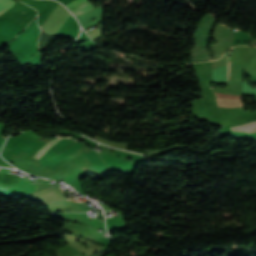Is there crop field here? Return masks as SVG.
Here are the masks:
<instances>
[{
    "mask_svg": "<svg viewBox=\"0 0 256 256\" xmlns=\"http://www.w3.org/2000/svg\"><path fill=\"white\" fill-rule=\"evenodd\" d=\"M218 105L223 107L244 106L242 94L221 95L217 94Z\"/></svg>",
    "mask_w": 256,
    "mask_h": 256,
    "instance_id": "crop-field-1",
    "label": "crop field"
},
{
    "mask_svg": "<svg viewBox=\"0 0 256 256\" xmlns=\"http://www.w3.org/2000/svg\"><path fill=\"white\" fill-rule=\"evenodd\" d=\"M226 133L246 135L256 132V122L244 124L241 126L225 129Z\"/></svg>",
    "mask_w": 256,
    "mask_h": 256,
    "instance_id": "crop-field-2",
    "label": "crop field"
},
{
    "mask_svg": "<svg viewBox=\"0 0 256 256\" xmlns=\"http://www.w3.org/2000/svg\"><path fill=\"white\" fill-rule=\"evenodd\" d=\"M92 8H94L93 5L87 1V2H85V3H83V4H81V5H79V6L75 7V8H73V9H71V12H72L75 16H77V15H79V14H81V13H83V12H86V11L92 9Z\"/></svg>",
    "mask_w": 256,
    "mask_h": 256,
    "instance_id": "crop-field-3",
    "label": "crop field"
},
{
    "mask_svg": "<svg viewBox=\"0 0 256 256\" xmlns=\"http://www.w3.org/2000/svg\"><path fill=\"white\" fill-rule=\"evenodd\" d=\"M13 4H14V2H12V1H10V0H0V16H1L6 10H8Z\"/></svg>",
    "mask_w": 256,
    "mask_h": 256,
    "instance_id": "crop-field-4",
    "label": "crop field"
},
{
    "mask_svg": "<svg viewBox=\"0 0 256 256\" xmlns=\"http://www.w3.org/2000/svg\"><path fill=\"white\" fill-rule=\"evenodd\" d=\"M84 1H86V0H75L74 2H72V3H70V4L66 5V6H67L69 9H71V8H73V7H75V6H77V5L81 4V3H83Z\"/></svg>",
    "mask_w": 256,
    "mask_h": 256,
    "instance_id": "crop-field-5",
    "label": "crop field"
},
{
    "mask_svg": "<svg viewBox=\"0 0 256 256\" xmlns=\"http://www.w3.org/2000/svg\"><path fill=\"white\" fill-rule=\"evenodd\" d=\"M5 139L0 138V144L4 142Z\"/></svg>",
    "mask_w": 256,
    "mask_h": 256,
    "instance_id": "crop-field-6",
    "label": "crop field"
}]
</instances>
